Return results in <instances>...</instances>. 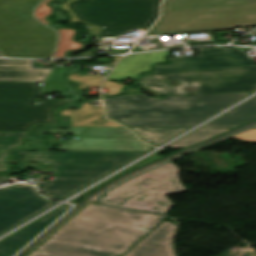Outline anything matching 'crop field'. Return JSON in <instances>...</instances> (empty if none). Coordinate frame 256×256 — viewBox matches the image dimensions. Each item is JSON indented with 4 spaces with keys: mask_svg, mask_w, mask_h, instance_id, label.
Returning <instances> with one entry per match:
<instances>
[{
    "mask_svg": "<svg viewBox=\"0 0 256 256\" xmlns=\"http://www.w3.org/2000/svg\"><path fill=\"white\" fill-rule=\"evenodd\" d=\"M164 218L89 204L28 256H120Z\"/></svg>",
    "mask_w": 256,
    "mask_h": 256,
    "instance_id": "crop-field-1",
    "label": "crop field"
},
{
    "mask_svg": "<svg viewBox=\"0 0 256 256\" xmlns=\"http://www.w3.org/2000/svg\"><path fill=\"white\" fill-rule=\"evenodd\" d=\"M135 93V88H129L124 96L104 99L108 117L128 127L190 128L249 94L173 96L153 100Z\"/></svg>",
    "mask_w": 256,
    "mask_h": 256,
    "instance_id": "crop-field-2",
    "label": "crop field"
},
{
    "mask_svg": "<svg viewBox=\"0 0 256 256\" xmlns=\"http://www.w3.org/2000/svg\"><path fill=\"white\" fill-rule=\"evenodd\" d=\"M142 153L121 152H14L19 167H35L42 171L45 167L27 161L52 164L50 171L56 173L52 182L38 183L43 188V196L62 200L89 185L95 180L117 169ZM52 193V195H48Z\"/></svg>",
    "mask_w": 256,
    "mask_h": 256,
    "instance_id": "crop-field-3",
    "label": "crop field"
},
{
    "mask_svg": "<svg viewBox=\"0 0 256 256\" xmlns=\"http://www.w3.org/2000/svg\"><path fill=\"white\" fill-rule=\"evenodd\" d=\"M256 25V0H165L147 35L233 29Z\"/></svg>",
    "mask_w": 256,
    "mask_h": 256,
    "instance_id": "crop-field-4",
    "label": "crop field"
},
{
    "mask_svg": "<svg viewBox=\"0 0 256 256\" xmlns=\"http://www.w3.org/2000/svg\"><path fill=\"white\" fill-rule=\"evenodd\" d=\"M41 0H0V48L15 58H51L57 36L31 17Z\"/></svg>",
    "mask_w": 256,
    "mask_h": 256,
    "instance_id": "crop-field-5",
    "label": "crop field"
},
{
    "mask_svg": "<svg viewBox=\"0 0 256 256\" xmlns=\"http://www.w3.org/2000/svg\"><path fill=\"white\" fill-rule=\"evenodd\" d=\"M178 172L173 162L167 163L128 180L106 193L107 197L98 199L103 204L165 214L174 207L166 195L186 191Z\"/></svg>",
    "mask_w": 256,
    "mask_h": 256,
    "instance_id": "crop-field-6",
    "label": "crop field"
},
{
    "mask_svg": "<svg viewBox=\"0 0 256 256\" xmlns=\"http://www.w3.org/2000/svg\"><path fill=\"white\" fill-rule=\"evenodd\" d=\"M160 1L77 0L69 7L79 19L106 26L99 36H110L150 27L159 16Z\"/></svg>",
    "mask_w": 256,
    "mask_h": 256,
    "instance_id": "crop-field-7",
    "label": "crop field"
},
{
    "mask_svg": "<svg viewBox=\"0 0 256 256\" xmlns=\"http://www.w3.org/2000/svg\"><path fill=\"white\" fill-rule=\"evenodd\" d=\"M168 77L177 78L181 86H169ZM138 80L141 87L147 86L164 96L184 95L181 89L186 85L196 86V95L252 92L256 90V66L147 74Z\"/></svg>",
    "mask_w": 256,
    "mask_h": 256,
    "instance_id": "crop-field-8",
    "label": "crop field"
},
{
    "mask_svg": "<svg viewBox=\"0 0 256 256\" xmlns=\"http://www.w3.org/2000/svg\"><path fill=\"white\" fill-rule=\"evenodd\" d=\"M42 86L37 83H0V130L31 131L35 124H56L55 110L72 100H42L32 104Z\"/></svg>",
    "mask_w": 256,
    "mask_h": 256,
    "instance_id": "crop-field-9",
    "label": "crop field"
},
{
    "mask_svg": "<svg viewBox=\"0 0 256 256\" xmlns=\"http://www.w3.org/2000/svg\"><path fill=\"white\" fill-rule=\"evenodd\" d=\"M56 203L42 198L35 187L19 184L0 190V234Z\"/></svg>",
    "mask_w": 256,
    "mask_h": 256,
    "instance_id": "crop-field-10",
    "label": "crop field"
},
{
    "mask_svg": "<svg viewBox=\"0 0 256 256\" xmlns=\"http://www.w3.org/2000/svg\"><path fill=\"white\" fill-rule=\"evenodd\" d=\"M200 57L169 59L171 65H156L154 73L255 66L247 54L238 49H199Z\"/></svg>",
    "mask_w": 256,
    "mask_h": 256,
    "instance_id": "crop-field-11",
    "label": "crop field"
},
{
    "mask_svg": "<svg viewBox=\"0 0 256 256\" xmlns=\"http://www.w3.org/2000/svg\"><path fill=\"white\" fill-rule=\"evenodd\" d=\"M152 149L139 139H97L79 138L77 141H67L57 150L62 151H121L146 152Z\"/></svg>",
    "mask_w": 256,
    "mask_h": 256,
    "instance_id": "crop-field-12",
    "label": "crop field"
},
{
    "mask_svg": "<svg viewBox=\"0 0 256 256\" xmlns=\"http://www.w3.org/2000/svg\"><path fill=\"white\" fill-rule=\"evenodd\" d=\"M69 209V205H64L49 213L34 223L19 230L13 235L0 241V256H12L23 248L33 237L46 228L50 223Z\"/></svg>",
    "mask_w": 256,
    "mask_h": 256,
    "instance_id": "crop-field-13",
    "label": "crop field"
},
{
    "mask_svg": "<svg viewBox=\"0 0 256 256\" xmlns=\"http://www.w3.org/2000/svg\"><path fill=\"white\" fill-rule=\"evenodd\" d=\"M176 226L164 221L127 254L138 256H175L172 248H167L171 242Z\"/></svg>",
    "mask_w": 256,
    "mask_h": 256,
    "instance_id": "crop-field-14",
    "label": "crop field"
},
{
    "mask_svg": "<svg viewBox=\"0 0 256 256\" xmlns=\"http://www.w3.org/2000/svg\"><path fill=\"white\" fill-rule=\"evenodd\" d=\"M52 69H33L31 61L0 59V82H43Z\"/></svg>",
    "mask_w": 256,
    "mask_h": 256,
    "instance_id": "crop-field-15",
    "label": "crop field"
},
{
    "mask_svg": "<svg viewBox=\"0 0 256 256\" xmlns=\"http://www.w3.org/2000/svg\"><path fill=\"white\" fill-rule=\"evenodd\" d=\"M166 52L126 56L107 76L106 79L135 78L139 73L150 71L155 62H167ZM140 75V74H139Z\"/></svg>",
    "mask_w": 256,
    "mask_h": 256,
    "instance_id": "crop-field-16",
    "label": "crop field"
},
{
    "mask_svg": "<svg viewBox=\"0 0 256 256\" xmlns=\"http://www.w3.org/2000/svg\"><path fill=\"white\" fill-rule=\"evenodd\" d=\"M256 119V97L202 128H235Z\"/></svg>",
    "mask_w": 256,
    "mask_h": 256,
    "instance_id": "crop-field-17",
    "label": "crop field"
},
{
    "mask_svg": "<svg viewBox=\"0 0 256 256\" xmlns=\"http://www.w3.org/2000/svg\"><path fill=\"white\" fill-rule=\"evenodd\" d=\"M30 133L0 131V171H10L9 165L2 159H7L10 149L22 146L24 138Z\"/></svg>",
    "mask_w": 256,
    "mask_h": 256,
    "instance_id": "crop-field-18",
    "label": "crop field"
},
{
    "mask_svg": "<svg viewBox=\"0 0 256 256\" xmlns=\"http://www.w3.org/2000/svg\"><path fill=\"white\" fill-rule=\"evenodd\" d=\"M143 140L154 144L160 145L170 138L178 135L187 129H159V128H131Z\"/></svg>",
    "mask_w": 256,
    "mask_h": 256,
    "instance_id": "crop-field-19",
    "label": "crop field"
},
{
    "mask_svg": "<svg viewBox=\"0 0 256 256\" xmlns=\"http://www.w3.org/2000/svg\"><path fill=\"white\" fill-rule=\"evenodd\" d=\"M82 109L79 110H63L61 116L70 119V122L94 121L102 116V107L93 108L88 103H80Z\"/></svg>",
    "mask_w": 256,
    "mask_h": 256,
    "instance_id": "crop-field-20",
    "label": "crop field"
},
{
    "mask_svg": "<svg viewBox=\"0 0 256 256\" xmlns=\"http://www.w3.org/2000/svg\"><path fill=\"white\" fill-rule=\"evenodd\" d=\"M227 130L230 129H200L169 147L186 148Z\"/></svg>",
    "mask_w": 256,
    "mask_h": 256,
    "instance_id": "crop-field-21",
    "label": "crop field"
},
{
    "mask_svg": "<svg viewBox=\"0 0 256 256\" xmlns=\"http://www.w3.org/2000/svg\"><path fill=\"white\" fill-rule=\"evenodd\" d=\"M82 136L136 138L129 130L125 128H90Z\"/></svg>",
    "mask_w": 256,
    "mask_h": 256,
    "instance_id": "crop-field-22",
    "label": "crop field"
},
{
    "mask_svg": "<svg viewBox=\"0 0 256 256\" xmlns=\"http://www.w3.org/2000/svg\"><path fill=\"white\" fill-rule=\"evenodd\" d=\"M60 38L57 45L55 53H58L57 58L65 57L64 51L76 49L82 46V44L76 43L73 41L72 37L74 35L73 30H59Z\"/></svg>",
    "mask_w": 256,
    "mask_h": 256,
    "instance_id": "crop-field-23",
    "label": "crop field"
},
{
    "mask_svg": "<svg viewBox=\"0 0 256 256\" xmlns=\"http://www.w3.org/2000/svg\"><path fill=\"white\" fill-rule=\"evenodd\" d=\"M69 78L81 83V86L77 88L79 90L87 89L88 86L99 87L100 81L102 79L99 75L79 76V74L71 75Z\"/></svg>",
    "mask_w": 256,
    "mask_h": 256,
    "instance_id": "crop-field-24",
    "label": "crop field"
},
{
    "mask_svg": "<svg viewBox=\"0 0 256 256\" xmlns=\"http://www.w3.org/2000/svg\"><path fill=\"white\" fill-rule=\"evenodd\" d=\"M72 1H74V0H69V1H67L66 4L60 5L61 8L66 9V10H68V11L70 12V14L72 15V18H71L70 21H78V22L86 23V22H83V21H80L79 19H77V18L74 16V14L72 13L71 9L68 7L69 3L72 2ZM86 24H89V23H86ZM89 25H91V24H89ZM91 26H92V27H91L90 31L87 32L86 34H87V35H91V36H97V34H98L99 31H100V28H99V27H96V26H94V25H91Z\"/></svg>",
    "mask_w": 256,
    "mask_h": 256,
    "instance_id": "crop-field-25",
    "label": "crop field"
},
{
    "mask_svg": "<svg viewBox=\"0 0 256 256\" xmlns=\"http://www.w3.org/2000/svg\"><path fill=\"white\" fill-rule=\"evenodd\" d=\"M48 1H50V0H44L41 3V5L36 9L35 14L37 16V13H42L43 15L37 16V18L39 19L40 22L50 26V24L44 20V16L51 14V10H52V8L46 6Z\"/></svg>",
    "mask_w": 256,
    "mask_h": 256,
    "instance_id": "crop-field-26",
    "label": "crop field"
},
{
    "mask_svg": "<svg viewBox=\"0 0 256 256\" xmlns=\"http://www.w3.org/2000/svg\"><path fill=\"white\" fill-rule=\"evenodd\" d=\"M87 128L71 127L68 130L51 129L48 131L49 134H70L80 135Z\"/></svg>",
    "mask_w": 256,
    "mask_h": 256,
    "instance_id": "crop-field-27",
    "label": "crop field"
},
{
    "mask_svg": "<svg viewBox=\"0 0 256 256\" xmlns=\"http://www.w3.org/2000/svg\"><path fill=\"white\" fill-rule=\"evenodd\" d=\"M234 139L246 142H256V129H250L242 134L232 137Z\"/></svg>",
    "mask_w": 256,
    "mask_h": 256,
    "instance_id": "crop-field-28",
    "label": "crop field"
},
{
    "mask_svg": "<svg viewBox=\"0 0 256 256\" xmlns=\"http://www.w3.org/2000/svg\"><path fill=\"white\" fill-rule=\"evenodd\" d=\"M62 71L63 70H54V72L51 74L46 83L69 84L60 76Z\"/></svg>",
    "mask_w": 256,
    "mask_h": 256,
    "instance_id": "crop-field-29",
    "label": "crop field"
},
{
    "mask_svg": "<svg viewBox=\"0 0 256 256\" xmlns=\"http://www.w3.org/2000/svg\"><path fill=\"white\" fill-rule=\"evenodd\" d=\"M122 86H123L122 84H117V83L105 81V83L103 85V88H107L108 89L107 95H110V94L120 93V88Z\"/></svg>",
    "mask_w": 256,
    "mask_h": 256,
    "instance_id": "crop-field-30",
    "label": "crop field"
},
{
    "mask_svg": "<svg viewBox=\"0 0 256 256\" xmlns=\"http://www.w3.org/2000/svg\"><path fill=\"white\" fill-rule=\"evenodd\" d=\"M94 125V124H93ZM92 127H122L118 124H116L113 121H108L104 119H100L94 126Z\"/></svg>",
    "mask_w": 256,
    "mask_h": 256,
    "instance_id": "crop-field-31",
    "label": "crop field"
},
{
    "mask_svg": "<svg viewBox=\"0 0 256 256\" xmlns=\"http://www.w3.org/2000/svg\"><path fill=\"white\" fill-rule=\"evenodd\" d=\"M65 85H51L49 87L44 86L41 92L50 93V92H59L62 93L63 91L61 88Z\"/></svg>",
    "mask_w": 256,
    "mask_h": 256,
    "instance_id": "crop-field-32",
    "label": "crop field"
},
{
    "mask_svg": "<svg viewBox=\"0 0 256 256\" xmlns=\"http://www.w3.org/2000/svg\"><path fill=\"white\" fill-rule=\"evenodd\" d=\"M93 122L89 123H77V124H71V126H81V127H90Z\"/></svg>",
    "mask_w": 256,
    "mask_h": 256,
    "instance_id": "crop-field-33",
    "label": "crop field"
},
{
    "mask_svg": "<svg viewBox=\"0 0 256 256\" xmlns=\"http://www.w3.org/2000/svg\"><path fill=\"white\" fill-rule=\"evenodd\" d=\"M7 179H8L7 175L0 176V183L7 180Z\"/></svg>",
    "mask_w": 256,
    "mask_h": 256,
    "instance_id": "crop-field-34",
    "label": "crop field"
},
{
    "mask_svg": "<svg viewBox=\"0 0 256 256\" xmlns=\"http://www.w3.org/2000/svg\"><path fill=\"white\" fill-rule=\"evenodd\" d=\"M119 58H120V56L114 57V60L110 67H112L119 60Z\"/></svg>",
    "mask_w": 256,
    "mask_h": 256,
    "instance_id": "crop-field-35",
    "label": "crop field"
},
{
    "mask_svg": "<svg viewBox=\"0 0 256 256\" xmlns=\"http://www.w3.org/2000/svg\"><path fill=\"white\" fill-rule=\"evenodd\" d=\"M251 35H256V31H254V32H252V33H250ZM251 45H256V42L255 43H253V44H251Z\"/></svg>",
    "mask_w": 256,
    "mask_h": 256,
    "instance_id": "crop-field-36",
    "label": "crop field"
},
{
    "mask_svg": "<svg viewBox=\"0 0 256 256\" xmlns=\"http://www.w3.org/2000/svg\"><path fill=\"white\" fill-rule=\"evenodd\" d=\"M0 55H1L2 57H5V55H4V54H2L1 52H0Z\"/></svg>",
    "mask_w": 256,
    "mask_h": 256,
    "instance_id": "crop-field-37",
    "label": "crop field"
},
{
    "mask_svg": "<svg viewBox=\"0 0 256 256\" xmlns=\"http://www.w3.org/2000/svg\"><path fill=\"white\" fill-rule=\"evenodd\" d=\"M124 256H133V255H127V254H125Z\"/></svg>",
    "mask_w": 256,
    "mask_h": 256,
    "instance_id": "crop-field-38",
    "label": "crop field"
},
{
    "mask_svg": "<svg viewBox=\"0 0 256 256\" xmlns=\"http://www.w3.org/2000/svg\"><path fill=\"white\" fill-rule=\"evenodd\" d=\"M168 247H172L170 243H169Z\"/></svg>",
    "mask_w": 256,
    "mask_h": 256,
    "instance_id": "crop-field-39",
    "label": "crop field"
}]
</instances>
